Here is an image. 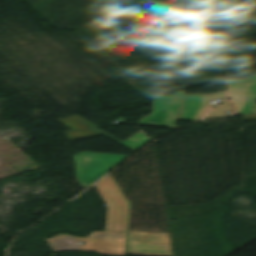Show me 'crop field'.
<instances>
[{
	"instance_id": "obj_1",
	"label": "crop field",
	"mask_w": 256,
	"mask_h": 256,
	"mask_svg": "<svg viewBox=\"0 0 256 256\" xmlns=\"http://www.w3.org/2000/svg\"><path fill=\"white\" fill-rule=\"evenodd\" d=\"M95 186L108 204L105 232L94 231L86 238L66 234L46 239L53 251L125 255L130 203L111 175ZM79 242H87V245H79ZM127 253L173 256L169 233L130 231Z\"/></svg>"
},
{
	"instance_id": "obj_5",
	"label": "crop field",
	"mask_w": 256,
	"mask_h": 256,
	"mask_svg": "<svg viewBox=\"0 0 256 256\" xmlns=\"http://www.w3.org/2000/svg\"><path fill=\"white\" fill-rule=\"evenodd\" d=\"M228 83L232 102L256 100V75Z\"/></svg>"
},
{
	"instance_id": "obj_11",
	"label": "crop field",
	"mask_w": 256,
	"mask_h": 256,
	"mask_svg": "<svg viewBox=\"0 0 256 256\" xmlns=\"http://www.w3.org/2000/svg\"><path fill=\"white\" fill-rule=\"evenodd\" d=\"M226 117V112H214L212 118H224Z\"/></svg>"
},
{
	"instance_id": "obj_8",
	"label": "crop field",
	"mask_w": 256,
	"mask_h": 256,
	"mask_svg": "<svg viewBox=\"0 0 256 256\" xmlns=\"http://www.w3.org/2000/svg\"><path fill=\"white\" fill-rule=\"evenodd\" d=\"M238 109V114H256V102H238L234 103Z\"/></svg>"
},
{
	"instance_id": "obj_6",
	"label": "crop field",
	"mask_w": 256,
	"mask_h": 256,
	"mask_svg": "<svg viewBox=\"0 0 256 256\" xmlns=\"http://www.w3.org/2000/svg\"><path fill=\"white\" fill-rule=\"evenodd\" d=\"M60 122L75 130L71 132H66L70 140L101 136L100 133L92 129L97 126L82 119L79 116L63 119Z\"/></svg>"
},
{
	"instance_id": "obj_3",
	"label": "crop field",
	"mask_w": 256,
	"mask_h": 256,
	"mask_svg": "<svg viewBox=\"0 0 256 256\" xmlns=\"http://www.w3.org/2000/svg\"><path fill=\"white\" fill-rule=\"evenodd\" d=\"M184 93L185 91L155 98L153 113L139 124L175 128Z\"/></svg>"
},
{
	"instance_id": "obj_2",
	"label": "crop field",
	"mask_w": 256,
	"mask_h": 256,
	"mask_svg": "<svg viewBox=\"0 0 256 256\" xmlns=\"http://www.w3.org/2000/svg\"><path fill=\"white\" fill-rule=\"evenodd\" d=\"M128 157L127 155L82 152L74 156L77 176L100 178Z\"/></svg>"
},
{
	"instance_id": "obj_9",
	"label": "crop field",
	"mask_w": 256,
	"mask_h": 256,
	"mask_svg": "<svg viewBox=\"0 0 256 256\" xmlns=\"http://www.w3.org/2000/svg\"><path fill=\"white\" fill-rule=\"evenodd\" d=\"M213 111H233V107L231 106V104L229 103V101H225V102H223V104H222L221 107L211 109V110L207 113V115H206L205 118H211Z\"/></svg>"
},
{
	"instance_id": "obj_4",
	"label": "crop field",
	"mask_w": 256,
	"mask_h": 256,
	"mask_svg": "<svg viewBox=\"0 0 256 256\" xmlns=\"http://www.w3.org/2000/svg\"><path fill=\"white\" fill-rule=\"evenodd\" d=\"M226 99V92L215 95H186L179 119L196 121L202 118L212 105L210 100Z\"/></svg>"
},
{
	"instance_id": "obj_10",
	"label": "crop field",
	"mask_w": 256,
	"mask_h": 256,
	"mask_svg": "<svg viewBox=\"0 0 256 256\" xmlns=\"http://www.w3.org/2000/svg\"><path fill=\"white\" fill-rule=\"evenodd\" d=\"M96 180H98V179L78 177V181L80 182V184L82 185V187H89V186L92 185Z\"/></svg>"
},
{
	"instance_id": "obj_7",
	"label": "crop field",
	"mask_w": 256,
	"mask_h": 256,
	"mask_svg": "<svg viewBox=\"0 0 256 256\" xmlns=\"http://www.w3.org/2000/svg\"><path fill=\"white\" fill-rule=\"evenodd\" d=\"M94 129L97 130L98 132L112 138L111 136L105 134L104 132H102L96 128H94ZM112 139H114V138H112ZM114 140L135 151L136 149H138L140 146H142L144 143H146L150 139L143 133L139 132L136 135L129 138L128 140L124 141L123 143L116 139H114Z\"/></svg>"
}]
</instances>
